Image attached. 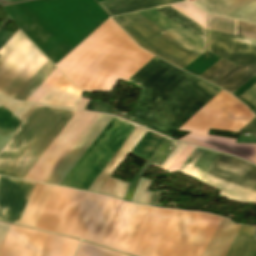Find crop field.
Instances as JSON below:
<instances>
[{"label": "crop field", "mask_w": 256, "mask_h": 256, "mask_svg": "<svg viewBox=\"0 0 256 256\" xmlns=\"http://www.w3.org/2000/svg\"><path fill=\"white\" fill-rule=\"evenodd\" d=\"M218 155L219 153L196 147L179 172L200 180Z\"/></svg>", "instance_id": "bc2a9ffb"}, {"label": "crop field", "mask_w": 256, "mask_h": 256, "mask_svg": "<svg viewBox=\"0 0 256 256\" xmlns=\"http://www.w3.org/2000/svg\"><path fill=\"white\" fill-rule=\"evenodd\" d=\"M11 225L5 224V223H0V248L3 244V241L7 235V232L9 230Z\"/></svg>", "instance_id": "d32e631a"}, {"label": "crop field", "mask_w": 256, "mask_h": 256, "mask_svg": "<svg viewBox=\"0 0 256 256\" xmlns=\"http://www.w3.org/2000/svg\"><path fill=\"white\" fill-rule=\"evenodd\" d=\"M87 102H88L87 99L82 98L76 108L84 110Z\"/></svg>", "instance_id": "5866460e"}, {"label": "crop field", "mask_w": 256, "mask_h": 256, "mask_svg": "<svg viewBox=\"0 0 256 256\" xmlns=\"http://www.w3.org/2000/svg\"><path fill=\"white\" fill-rule=\"evenodd\" d=\"M207 51L237 64H256V40L208 30Z\"/></svg>", "instance_id": "d1516ede"}, {"label": "crop field", "mask_w": 256, "mask_h": 256, "mask_svg": "<svg viewBox=\"0 0 256 256\" xmlns=\"http://www.w3.org/2000/svg\"><path fill=\"white\" fill-rule=\"evenodd\" d=\"M220 217L198 212L175 211L152 256H199ZM214 230L200 256L220 227ZM240 226L224 219L205 256H224Z\"/></svg>", "instance_id": "f4fd0767"}, {"label": "crop field", "mask_w": 256, "mask_h": 256, "mask_svg": "<svg viewBox=\"0 0 256 256\" xmlns=\"http://www.w3.org/2000/svg\"><path fill=\"white\" fill-rule=\"evenodd\" d=\"M190 2L209 13L256 23V0H192Z\"/></svg>", "instance_id": "cbeb9de0"}, {"label": "crop field", "mask_w": 256, "mask_h": 256, "mask_svg": "<svg viewBox=\"0 0 256 256\" xmlns=\"http://www.w3.org/2000/svg\"><path fill=\"white\" fill-rule=\"evenodd\" d=\"M34 184L0 176V220L18 223Z\"/></svg>", "instance_id": "22f410ed"}, {"label": "crop field", "mask_w": 256, "mask_h": 256, "mask_svg": "<svg viewBox=\"0 0 256 256\" xmlns=\"http://www.w3.org/2000/svg\"><path fill=\"white\" fill-rule=\"evenodd\" d=\"M62 75L63 74L56 68L27 101L38 103Z\"/></svg>", "instance_id": "ae1a2a85"}, {"label": "crop field", "mask_w": 256, "mask_h": 256, "mask_svg": "<svg viewBox=\"0 0 256 256\" xmlns=\"http://www.w3.org/2000/svg\"><path fill=\"white\" fill-rule=\"evenodd\" d=\"M254 75H256V66H235L214 84L232 93Z\"/></svg>", "instance_id": "dafd665d"}, {"label": "crop field", "mask_w": 256, "mask_h": 256, "mask_svg": "<svg viewBox=\"0 0 256 256\" xmlns=\"http://www.w3.org/2000/svg\"><path fill=\"white\" fill-rule=\"evenodd\" d=\"M252 256H256V249H255V251H254V253H253V255Z\"/></svg>", "instance_id": "e1f06a70"}, {"label": "crop field", "mask_w": 256, "mask_h": 256, "mask_svg": "<svg viewBox=\"0 0 256 256\" xmlns=\"http://www.w3.org/2000/svg\"><path fill=\"white\" fill-rule=\"evenodd\" d=\"M127 82L142 89L129 120L169 137L221 92L155 56ZM254 117L246 106L222 91L179 129L192 132L179 141L227 152L256 164V145L234 144L236 140L207 135L209 129L238 132Z\"/></svg>", "instance_id": "8a807250"}, {"label": "crop field", "mask_w": 256, "mask_h": 256, "mask_svg": "<svg viewBox=\"0 0 256 256\" xmlns=\"http://www.w3.org/2000/svg\"><path fill=\"white\" fill-rule=\"evenodd\" d=\"M0 106L4 107L6 110H8L10 113H12L14 116L22 121H19L5 109L0 107V126L17 128L20 122L22 124L25 121V119L32 112L36 105L0 99ZM21 124L18 126V128L21 126ZM13 128L0 127V134L5 135L12 133L15 130ZM18 128L10 135H0V151L11 139V137L18 130Z\"/></svg>", "instance_id": "5142ce71"}, {"label": "crop field", "mask_w": 256, "mask_h": 256, "mask_svg": "<svg viewBox=\"0 0 256 256\" xmlns=\"http://www.w3.org/2000/svg\"><path fill=\"white\" fill-rule=\"evenodd\" d=\"M149 207L123 202L102 246L126 253Z\"/></svg>", "instance_id": "28ad6ade"}, {"label": "crop field", "mask_w": 256, "mask_h": 256, "mask_svg": "<svg viewBox=\"0 0 256 256\" xmlns=\"http://www.w3.org/2000/svg\"><path fill=\"white\" fill-rule=\"evenodd\" d=\"M241 97L252 104L256 109V85L241 95Z\"/></svg>", "instance_id": "120bbe31"}, {"label": "crop field", "mask_w": 256, "mask_h": 256, "mask_svg": "<svg viewBox=\"0 0 256 256\" xmlns=\"http://www.w3.org/2000/svg\"><path fill=\"white\" fill-rule=\"evenodd\" d=\"M153 56L109 19L57 67L86 93H111L119 79L126 81Z\"/></svg>", "instance_id": "34b2d1b8"}, {"label": "crop field", "mask_w": 256, "mask_h": 256, "mask_svg": "<svg viewBox=\"0 0 256 256\" xmlns=\"http://www.w3.org/2000/svg\"><path fill=\"white\" fill-rule=\"evenodd\" d=\"M65 110L37 105L0 153V174L15 176Z\"/></svg>", "instance_id": "e52e79f7"}, {"label": "crop field", "mask_w": 256, "mask_h": 256, "mask_svg": "<svg viewBox=\"0 0 256 256\" xmlns=\"http://www.w3.org/2000/svg\"><path fill=\"white\" fill-rule=\"evenodd\" d=\"M122 201L53 187L36 228L101 245Z\"/></svg>", "instance_id": "412701ff"}, {"label": "crop field", "mask_w": 256, "mask_h": 256, "mask_svg": "<svg viewBox=\"0 0 256 256\" xmlns=\"http://www.w3.org/2000/svg\"><path fill=\"white\" fill-rule=\"evenodd\" d=\"M208 29L234 35V21L209 15ZM237 35L256 39V25L238 21Z\"/></svg>", "instance_id": "4177f3b9"}, {"label": "crop field", "mask_w": 256, "mask_h": 256, "mask_svg": "<svg viewBox=\"0 0 256 256\" xmlns=\"http://www.w3.org/2000/svg\"><path fill=\"white\" fill-rule=\"evenodd\" d=\"M145 131L146 129L144 128H141L139 126L136 127V129L129 136V138L120 148V150L115 154V156L111 159V161L107 164L104 170L96 178L93 184L89 187L88 191L100 193L109 177L116 170V168L123 161V159L127 156V154L131 151V149L138 142V140L142 137Z\"/></svg>", "instance_id": "d9b57169"}, {"label": "crop field", "mask_w": 256, "mask_h": 256, "mask_svg": "<svg viewBox=\"0 0 256 256\" xmlns=\"http://www.w3.org/2000/svg\"><path fill=\"white\" fill-rule=\"evenodd\" d=\"M150 22L176 37L199 53L205 52V42L184 30L153 9L138 12ZM136 13L126 14L113 19L143 48L184 68L199 55L187 45L161 30Z\"/></svg>", "instance_id": "dd49c442"}, {"label": "crop field", "mask_w": 256, "mask_h": 256, "mask_svg": "<svg viewBox=\"0 0 256 256\" xmlns=\"http://www.w3.org/2000/svg\"><path fill=\"white\" fill-rule=\"evenodd\" d=\"M232 65H233L232 63L221 59L216 64H214L211 68H209L206 72L200 75V77L211 82Z\"/></svg>", "instance_id": "bd1437ed"}, {"label": "crop field", "mask_w": 256, "mask_h": 256, "mask_svg": "<svg viewBox=\"0 0 256 256\" xmlns=\"http://www.w3.org/2000/svg\"><path fill=\"white\" fill-rule=\"evenodd\" d=\"M55 68L56 67L48 60L14 99L26 101Z\"/></svg>", "instance_id": "eef30255"}, {"label": "crop field", "mask_w": 256, "mask_h": 256, "mask_svg": "<svg viewBox=\"0 0 256 256\" xmlns=\"http://www.w3.org/2000/svg\"><path fill=\"white\" fill-rule=\"evenodd\" d=\"M0 56V97L13 99L48 60L18 30Z\"/></svg>", "instance_id": "d8731c3e"}, {"label": "crop field", "mask_w": 256, "mask_h": 256, "mask_svg": "<svg viewBox=\"0 0 256 256\" xmlns=\"http://www.w3.org/2000/svg\"><path fill=\"white\" fill-rule=\"evenodd\" d=\"M98 115L77 110L25 179L45 182ZM112 117L100 114L46 182L59 185ZM135 127L114 116L60 185L86 191Z\"/></svg>", "instance_id": "ac0d7876"}, {"label": "crop field", "mask_w": 256, "mask_h": 256, "mask_svg": "<svg viewBox=\"0 0 256 256\" xmlns=\"http://www.w3.org/2000/svg\"><path fill=\"white\" fill-rule=\"evenodd\" d=\"M75 87L63 75L39 103L74 108L82 94Z\"/></svg>", "instance_id": "4a817a6b"}, {"label": "crop field", "mask_w": 256, "mask_h": 256, "mask_svg": "<svg viewBox=\"0 0 256 256\" xmlns=\"http://www.w3.org/2000/svg\"><path fill=\"white\" fill-rule=\"evenodd\" d=\"M156 11L160 12L170 20L174 21L184 29L188 30L198 38L205 41L206 36V29L202 28L201 26L197 25L196 23L192 22L191 20L187 19L183 15L179 14L178 12L174 11L169 7L155 9Z\"/></svg>", "instance_id": "730fd06b"}, {"label": "crop field", "mask_w": 256, "mask_h": 256, "mask_svg": "<svg viewBox=\"0 0 256 256\" xmlns=\"http://www.w3.org/2000/svg\"><path fill=\"white\" fill-rule=\"evenodd\" d=\"M200 182L231 201L256 203V167L229 155L220 154Z\"/></svg>", "instance_id": "5a996713"}, {"label": "crop field", "mask_w": 256, "mask_h": 256, "mask_svg": "<svg viewBox=\"0 0 256 256\" xmlns=\"http://www.w3.org/2000/svg\"><path fill=\"white\" fill-rule=\"evenodd\" d=\"M76 110L67 109L63 116L59 119L56 125L52 128L49 134L45 137V139L41 142L38 148L34 151L31 157L27 160L24 166L20 169V171L15 176L16 178L24 179L31 168L35 165L38 159L42 156L48 146L52 143L58 133L62 130L65 124L69 121L72 115Z\"/></svg>", "instance_id": "92a150f3"}, {"label": "crop field", "mask_w": 256, "mask_h": 256, "mask_svg": "<svg viewBox=\"0 0 256 256\" xmlns=\"http://www.w3.org/2000/svg\"><path fill=\"white\" fill-rule=\"evenodd\" d=\"M128 185V183L110 177L101 193L123 199Z\"/></svg>", "instance_id": "d3111659"}, {"label": "crop field", "mask_w": 256, "mask_h": 256, "mask_svg": "<svg viewBox=\"0 0 256 256\" xmlns=\"http://www.w3.org/2000/svg\"><path fill=\"white\" fill-rule=\"evenodd\" d=\"M94 104H95V101L89 100V102H88V104H87L85 110L91 111L92 108H93V106H94Z\"/></svg>", "instance_id": "028f5c9d"}, {"label": "crop field", "mask_w": 256, "mask_h": 256, "mask_svg": "<svg viewBox=\"0 0 256 256\" xmlns=\"http://www.w3.org/2000/svg\"><path fill=\"white\" fill-rule=\"evenodd\" d=\"M150 183L151 180L141 177L131 202L148 205L152 195V192L147 191Z\"/></svg>", "instance_id": "750c4746"}, {"label": "crop field", "mask_w": 256, "mask_h": 256, "mask_svg": "<svg viewBox=\"0 0 256 256\" xmlns=\"http://www.w3.org/2000/svg\"><path fill=\"white\" fill-rule=\"evenodd\" d=\"M185 144L179 143L178 146L174 149V151L170 154V156L165 160V162L161 165L160 169L166 171L174 159L178 156L181 150L184 148Z\"/></svg>", "instance_id": "1d83c4d3"}, {"label": "crop field", "mask_w": 256, "mask_h": 256, "mask_svg": "<svg viewBox=\"0 0 256 256\" xmlns=\"http://www.w3.org/2000/svg\"><path fill=\"white\" fill-rule=\"evenodd\" d=\"M183 0H109L99 4L111 15H118Z\"/></svg>", "instance_id": "214f88e0"}, {"label": "crop field", "mask_w": 256, "mask_h": 256, "mask_svg": "<svg viewBox=\"0 0 256 256\" xmlns=\"http://www.w3.org/2000/svg\"><path fill=\"white\" fill-rule=\"evenodd\" d=\"M178 142L165 139V141L160 145V147L155 151V153L150 157V159L145 163V165L140 169V171L136 174L134 177L129 190L126 194L125 201H131L132 195L134 193L136 184L140 178V176L143 175V173L150 168L152 165L156 167H160V165L164 162V160L167 158V156L171 153V151L176 147Z\"/></svg>", "instance_id": "a9b5d70f"}, {"label": "crop field", "mask_w": 256, "mask_h": 256, "mask_svg": "<svg viewBox=\"0 0 256 256\" xmlns=\"http://www.w3.org/2000/svg\"><path fill=\"white\" fill-rule=\"evenodd\" d=\"M255 247V228L241 226L225 256H251Z\"/></svg>", "instance_id": "00972430"}, {"label": "crop field", "mask_w": 256, "mask_h": 256, "mask_svg": "<svg viewBox=\"0 0 256 256\" xmlns=\"http://www.w3.org/2000/svg\"><path fill=\"white\" fill-rule=\"evenodd\" d=\"M53 186L36 183L18 224L35 228Z\"/></svg>", "instance_id": "733c2abd"}, {"label": "crop field", "mask_w": 256, "mask_h": 256, "mask_svg": "<svg viewBox=\"0 0 256 256\" xmlns=\"http://www.w3.org/2000/svg\"><path fill=\"white\" fill-rule=\"evenodd\" d=\"M46 233L12 225L0 256H36ZM74 239L47 233L37 256H68ZM80 241H75L69 256H73Z\"/></svg>", "instance_id": "3316defc"}]
</instances>
